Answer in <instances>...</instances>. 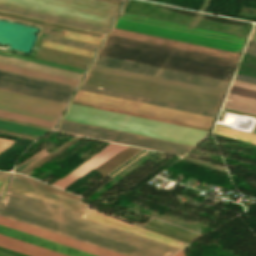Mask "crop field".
I'll return each mask as SVG.
<instances>
[{
  "label": "crop field",
  "instance_id": "obj_1",
  "mask_svg": "<svg viewBox=\"0 0 256 256\" xmlns=\"http://www.w3.org/2000/svg\"><path fill=\"white\" fill-rule=\"evenodd\" d=\"M0 215L128 256H170L179 249L8 190L0 203Z\"/></svg>",
  "mask_w": 256,
  "mask_h": 256
},
{
  "label": "crop field",
  "instance_id": "obj_2",
  "mask_svg": "<svg viewBox=\"0 0 256 256\" xmlns=\"http://www.w3.org/2000/svg\"><path fill=\"white\" fill-rule=\"evenodd\" d=\"M100 55L228 81L239 54L113 28Z\"/></svg>",
  "mask_w": 256,
  "mask_h": 256
},
{
  "label": "crop field",
  "instance_id": "obj_3",
  "mask_svg": "<svg viewBox=\"0 0 256 256\" xmlns=\"http://www.w3.org/2000/svg\"><path fill=\"white\" fill-rule=\"evenodd\" d=\"M74 86L0 70V89L67 104ZM0 90V109L57 122L65 105Z\"/></svg>",
  "mask_w": 256,
  "mask_h": 256
},
{
  "label": "crop field",
  "instance_id": "obj_4",
  "mask_svg": "<svg viewBox=\"0 0 256 256\" xmlns=\"http://www.w3.org/2000/svg\"><path fill=\"white\" fill-rule=\"evenodd\" d=\"M84 85L217 111L222 97L90 70Z\"/></svg>",
  "mask_w": 256,
  "mask_h": 256
},
{
  "label": "crop field",
  "instance_id": "obj_5",
  "mask_svg": "<svg viewBox=\"0 0 256 256\" xmlns=\"http://www.w3.org/2000/svg\"><path fill=\"white\" fill-rule=\"evenodd\" d=\"M116 28L240 52L246 38L121 13Z\"/></svg>",
  "mask_w": 256,
  "mask_h": 256
},
{
  "label": "crop field",
  "instance_id": "obj_6",
  "mask_svg": "<svg viewBox=\"0 0 256 256\" xmlns=\"http://www.w3.org/2000/svg\"><path fill=\"white\" fill-rule=\"evenodd\" d=\"M0 3L106 28L120 8L97 0H0Z\"/></svg>",
  "mask_w": 256,
  "mask_h": 256
},
{
  "label": "crop field",
  "instance_id": "obj_7",
  "mask_svg": "<svg viewBox=\"0 0 256 256\" xmlns=\"http://www.w3.org/2000/svg\"><path fill=\"white\" fill-rule=\"evenodd\" d=\"M74 101L207 128L210 127L214 119L212 117L95 94L81 90L78 91Z\"/></svg>",
  "mask_w": 256,
  "mask_h": 256
},
{
  "label": "crop field",
  "instance_id": "obj_8",
  "mask_svg": "<svg viewBox=\"0 0 256 256\" xmlns=\"http://www.w3.org/2000/svg\"><path fill=\"white\" fill-rule=\"evenodd\" d=\"M58 130L178 155H183L190 148L193 147L192 145L161 140L65 120L61 122Z\"/></svg>",
  "mask_w": 256,
  "mask_h": 256
},
{
  "label": "crop field",
  "instance_id": "obj_9",
  "mask_svg": "<svg viewBox=\"0 0 256 256\" xmlns=\"http://www.w3.org/2000/svg\"><path fill=\"white\" fill-rule=\"evenodd\" d=\"M94 64L115 68V69H120V70H126V71L156 76V77H161V78H166V79H171V80H176V81H181V82H186V83H192V84L222 89V90L225 89L228 83L226 81L121 61V60H116V59H111V58H106L101 56H98Z\"/></svg>",
  "mask_w": 256,
  "mask_h": 256
},
{
  "label": "crop field",
  "instance_id": "obj_10",
  "mask_svg": "<svg viewBox=\"0 0 256 256\" xmlns=\"http://www.w3.org/2000/svg\"><path fill=\"white\" fill-rule=\"evenodd\" d=\"M0 224L35 236H39L66 246H70L97 256H125L100 247H96L78 240H74L56 233H52L31 225H27L9 218L0 216Z\"/></svg>",
  "mask_w": 256,
  "mask_h": 256
},
{
  "label": "crop field",
  "instance_id": "obj_11",
  "mask_svg": "<svg viewBox=\"0 0 256 256\" xmlns=\"http://www.w3.org/2000/svg\"><path fill=\"white\" fill-rule=\"evenodd\" d=\"M124 147L126 146L109 143L104 149H102L96 155L79 165L77 168H75L62 178H60L53 185L60 187L64 190L67 189L69 186L74 184L76 181L92 171L94 168L114 156Z\"/></svg>",
  "mask_w": 256,
  "mask_h": 256
},
{
  "label": "crop field",
  "instance_id": "obj_12",
  "mask_svg": "<svg viewBox=\"0 0 256 256\" xmlns=\"http://www.w3.org/2000/svg\"><path fill=\"white\" fill-rule=\"evenodd\" d=\"M0 61L80 79L84 70L0 51Z\"/></svg>",
  "mask_w": 256,
  "mask_h": 256
},
{
  "label": "crop field",
  "instance_id": "obj_13",
  "mask_svg": "<svg viewBox=\"0 0 256 256\" xmlns=\"http://www.w3.org/2000/svg\"><path fill=\"white\" fill-rule=\"evenodd\" d=\"M223 107L256 115V85L234 80Z\"/></svg>",
  "mask_w": 256,
  "mask_h": 256
},
{
  "label": "crop field",
  "instance_id": "obj_14",
  "mask_svg": "<svg viewBox=\"0 0 256 256\" xmlns=\"http://www.w3.org/2000/svg\"><path fill=\"white\" fill-rule=\"evenodd\" d=\"M81 216L91 219V220H95V221L107 224V225H110V226H113V227H116V228L123 229V230L129 231V232L141 235V236H145V237H148V238H151V239H154V240L166 243V244H170V245H173V246H176L179 248L185 246L184 244H181L179 242L170 240V239L162 237L160 235H157V234L151 233L149 231L140 229L138 227L129 225L127 223H124L119 220L110 218L108 216L99 214V213L91 211L89 209H86Z\"/></svg>",
  "mask_w": 256,
  "mask_h": 256
},
{
  "label": "crop field",
  "instance_id": "obj_15",
  "mask_svg": "<svg viewBox=\"0 0 256 256\" xmlns=\"http://www.w3.org/2000/svg\"><path fill=\"white\" fill-rule=\"evenodd\" d=\"M91 69L113 73L117 75H122V76H127V77H132V78H137V79H142V80H147V81H152V82H157L161 84L201 91V92L220 95V96H222L224 92L222 90H217V89H212V88H207V87H202L197 85H191V84H186V83H181V82H176V81H171V80H166V79H161V78H156V77H151V76H146V75H141V74H136L131 72H125V71H120V70H115V69H110V68H105V67H100L95 65H93Z\"/></svg>",
  "mask_w": 256,
  "mask_h": 256
},
{
  "label": "crop field",
  "instance_id": "obj_16",
  "mask_svg": "<svg viewBox=\"0 0 256 256\" xmlns=\"http://www.w3.org/2000/svg\"><path fill=\"white\" fill-rule=\"evenodd\" d=\"M0 10L105 34L107 29L0 4Z\"/></svg>",
  "mask_w": 256,
  "mask_h": 256
},
{
  "label": "crop field",
  "instance_id": "obj_17",
  "mask_svg": "<svg viewBox=\"0 0 256 256\" xmlns=\"http://www.w3.org/2000/svg\"><path fill=\"white\" fill-rule=\"evenodd\" d=\"M80 89H81V90H86V91H91V92H96V93H100V94H105V95H110V96H115V97L130 99V100H134V101H139V102H144V103H149V104L164 106V107H168V108H173V109H178V110H183V111L198 113V114L207 115V116H212V117H214L215 114H216V113H214V112H209V111H204V110H200V109H195V108L180 106V105H176V104H171V103H166V102L151 100V99H147V98H142V97L127 95V94H122V93H118V92H113V91L98 89V88L89 87V86H84V85H81Z\"/></svg>",
  "mask_w": 256,
  "mask_h": 256
},
{
  "label": "crop field",
  "instance_id": "obj_18",
  "mask_svg": "<svg viewBox=\"0 0 256 256\" xmlns=\"http://www.w3.org/2000/svg\"><path fill=\"white\" fill-rule=\"evenodd\" d=\"M0 246L31 256H66L1 234Z\"/></svg>",
  "mask_w": 256,
  "mask_h": 256
},
{
  "label": "crop field",
  "instance_id": "obj_19",
  "mask_svg": "<svg viewBox=\"0 0 256 256\" xmlns=\"http://www.w3.org/2000/svg\"><path fill=\"white\" fill-rule=\"evenodd\" d=\"M141 225L180 238L188 242H191V240L201 235L153 217H151L149 221Z\"/></svg>",
  "mask_w": 256,
  "mask_h": 256
},
{
  "label": "crop field",
  "instance_id": "obj_20",
  "mask_svg": "<svg viewBox=\"0 0 256 256\" xmlns=\"http://www.w3.org/2000/svg\"><path fill=\"white\" fill-rule=\"evenodd\" d=\"M0 69L77 86L79 80L0 62Z\"/></svg>",
  "mask_w": 256,
  "mask_h": 256
},
{
  "label": "crop field",
  "instance_id": "obj_21",
  "mask_svg": "<svg viewBox=\"0 0 256 256\" xmlns=\"http://www.w3.org/2000/svg\"><path fill=\"white\" fill-rule=\"evenodd\" d=\"M0 128L27 134V135H32V136H36V137H39L48 132V130L34 128V127L25 126V125L16 124V123L7 122V121H2V120H0Z\"/></svg>",
  "mask_w": 256,
  "mask_h": 256
},
{
  "label": "crop field",
  "instance_id": "obj_22",
  "mask_svg": "<svg viewBox=\"0 0 256 256\" xmlns=\"http://www.w3.org/2000/svg\"><path fill=\"white\" fill-rule=\"evenodd\" d=\"M213 133L256 144V135L254 134H250V133H246V132H242V131H238V130H234V129H230V128H226L218 125L215 126Z\"/></svg>",
  "mask_w": 256,
  "mask_h": 256
},
{
  "label": "crop field",
  "instance_id": "obj_23",
  "mask_svg": "<svg viewBox=\"0 0 256 256\" xmlns=\"http://www.w3.org/2000/svg\"><path fill=\"white\" fill-rule=\"evenodd\" d=\"M10 184L14 185V186H17V187L27 189V190H30V191H33V192H36V193H40V194L52 197V198H55V199H59V200H62V201H65V202H68V203H71V204H74V205H78V206H81V207H84V208H86V206H87V205H85L83 203H80L78 201H75V200H72V199H69V198H66V197H63V196H59V195H56V194H53V193H50V192L32 187V186H29V185H25V184H22V183L13 181V180L11 181Z\"/></svg>",
  "mask_w": 256,
  "mask_h": 256
},
{
  "label": "crop field",
  "instance_id": "obj_24",
  "mask_svg": "<svg viewBox=\"0 0 256 256\" xmlns=\"http://www.w3.org/2000/svg\"><path fill=\"white\" fill-rule=\"evenodd\" d=\"M0 116L10 118V119L19 120V121H24V122H28V123H32V124H37V125H41V126H46V127H50V128H53V126L55 125L54 122L45 121V120L32 118V117H28V116H23V115H19V114H14V113L1 111V110H0Z\"/></svg>",
  "mask_w": 256,
  "mask_h": 256
},
{
  "label": "crop field",
  "instance_id": "obj_25",
  "mask_svg": "<svg viewBox=\"0 0 256 256\" xmlns=\"http://www.w3.org/2000/svg\"><path fill=\"white\" fill-rule=\"evenodd\" d=\"M45 40L51 41V42H56V43H61V44H65V45L75 46V47H79V48L89 49V50H93V51H95L97 48L96 45L79 42V41H75V40H71V39H67V38H62V37H58V36H54V35H50V34L47 35Z\"/></svg>",
  "mask_w": 256,
  "mask_h": 256
},
{
  "label": "crop field",
  "instance_id": "obj_26",
  "mask_svg": "<svg viewBox=\"0 0 256 256\" xmlns=\"http://www.w3.org/2000/svg\"><path fill=\"white\" fill-rule=\"evenodd\" d=\"M241 62L256 66V57L244 54ZM236 73L256 78L254 67L240 64Z\"/></svg>",
  "mask_w": 256,
  "mask_h": 256
},
{
  "label": "crop field",
  "instance_id": "obj_27",
  "mask_svg": "<svg viewBox=\"0 0 256 256\" xmlns=\"http://www.w3.org/2000/svg\"><path fill=\"white\" fill-rule=\"evenodd\" d=\"M43 46L48 47V48L62 50V51L72 52V53H76V54L86 55V56H90V57H92L94 54L93 51L79 49V48L70 47V46H65V45L56 44V43H51V42H47V41L44 42Z\"/></svg>",
  "mask_w": 256,
  "mask_h": 256
},
{
  "label": "crop field",
  "instance_id": "obj_28",
  "mask_svg": "<svg viewBox=\"0 0 256 256\" xmlns=\"http://www.w3.org/2000/svg\"><path fill=\"white\" fill-rule=\"evenodd\" d=\"M149 150L142 149L137 154H135L133 157H131L129 160H127L124 164H122L120 167H118L116 170H114L109 175L113 178L116 177L118 174H120L122 171H124L126 168H128L130 165L135 163L137 160H139L141 157H143L145 154H147Z\"/></svg>",
  "mask_w": 256,
  "mask_h": 256
},
{
  "label": "crop field",
  "instance_id": "obj_29",
  "mask_svg": "<svg viewBox=\"0 0 256 256\" xmlns=\"http://www.w3.org/2000/svg\"><path fill=\"white\" fill-rule=\"evenodd\" d=\"M46 151V150H45ZM43 149L40 150L39 152H37L36 154H34L33 156H31L29 159H27L26 161H24L23 163L19 164L14 171L15 172H22L23 170H25L26 168H28L29 166H31L32 164H34L35 162H37L38 160H40L41 158H43L44 156H46L48 153L45 152Z\"/></svg>",
  "mask_w": 256,
  "mask_h": 256
},
{
  "label": "crop field",
  "instance_id": "obj_30",
  "mask_svg": "<svg viewBox=\"0 0 256 256\" xmlns=\"http://www.w3.org/2000/svg\"><path fill=\"white\" fill-rule=\"evenodd\" d=\"M62 36L67 37V38H71V39H75V40H80V41L96 44V45H99V43L101 41L100 38H95V37H91V36L76 34V33L67 32V31H64Z\"/></svg>",
  "mask_w": 256,
  "mask_h": 256
},
{
  "label": "crop field",
  "instance_id": "obj_31",
  "mask_svg": "<svg viewBox=\"0 0 256 256\" xmlns=\"http://www.w3.org/2000/svg\"><path fill=\"white\" fill-rule=\"evenodd\" d=\"M15 142L0 138V155H2Z\"/></svg>",
  "mask_w": 256,
  "mask_h": 256
},
{
  "label": "crop field",
  "instance_id": "obj_32",
  "mask_svg": "<svg viewBox=\"0 0 256 256\" xmlns=\"http://www.w3.org/2000/svg\"><path fill=\"white\" fill-rule=\"evenodd\" d=\"M0 256H28V255H24V254L0 247Z\"/></svg>",
  "mask_w": 256,
  "mask_h": 256
},
{
  "label": "crop field",
  "instance_id": "obj_33",
  "mask_svg": "<svg viewBox=\"0 0 256 256\" xmlns=\"http://www.w3.org/2000/svg\"><path fill=\"white\" fill-rule=\"evenodd\" d=\"M244 53L256 56V42L250 41Z\"/></svg>",
  "mask_w": 256,
  "mask_h": 256
},
{
  "label": "crop field",
  "instance_id": "obj_34",
  "mask_svg": "<svg viewBox=\"0 0 256 256\" xmlns=\"http://www.w3.org/2000/svg\"><path fill=\"white\" fill-rule=\"evenodd\" d=\"M234 79L244 81V82H248V83H252V84H256V79L246 77V76H242V75H238V74L235 75Z\"/></svg>",
  "mask_w": 256,
  "mask_h": 256
},
{
  "label": "crop field",
  "instance_id": "obj_35",
  "mask_svg": "<svg viewBox=\"0 0 256 256\" xmlns=\"http://www.w3.org/2000/svg\"><path fill=\"white\" fill-rule=\"evenodd\" d=\"M10 173L0 172V179L7 180Z\"/></svg>",
  "mask_w": 256,
  "mask_h": 256
},
{
  "label": "crop field",
  "instance_id": "obj_36",
  "mask_svg": "<svg viewBox=\"0 0 256 256\" xmlns=\"http://www.w3.org/2000/svg\"><path fill=\"white\" fill-rule=\"evenodd\" d=\"M101 1H106V2L115 3V4H119V5L122 4L121 1H117V0H101Z\"/></svg>",
  "mask_w": 256,
  "mask_h": 256
},
{
  "label": "crop field",
  "instance_id": "obj_37",
  "mask_svg": "<svg viewBox=\"0 0 256 256\" xmlns=\"http://www.w3.org/2000/svg\"><path fill=\"white\" fill-rule=\"evenodd\" d=\"M252 41H256V27L254 28V31H253V34L251 36V39Z\"/></svg>",
  "mask_w": 256,
  "mask_h": 256
},
{
  "label": "crop field",
  "instance_id": "obj_38",
  "mask_svg": "<svg viewBox=\"0 0 256 256\" xmlns=\"http://www.w3.org/2000/svg\"><path fill=\"white\" fill-rule=\"evenodd\" d=\"M174 256H184V253H183V251L181 250V251H179L177 254H175Z\"/></svg>",
  "mask_w": 256,
  "mask_h": 256
},
{
  "label": "crop field",
  "instance_id": "obj_39",
  "mask_svg": "<svg viewBox=\"0 0 256 256\" xmlns=\"http://www.w3.org/2000/svg\"><path fill=\"white\" fill-rule=\"evenodd\" d=\"M4 183H5V181L0 180V191H1V189H2V187H3V185H4Z\"/></svg>",
  "mask_w": 256,
  "mask_h": 256
},
{
  "label": "crop field",
  "instance_id": "obj_40",
  "mask_svg": "<svg viewBox=\"0 0 256 256\" xmlns=\"http://www.w3.org/2000/svg\"><path fill=\"white\" fill-rule=\"evenodd\" d=\"M121 1H123V0H121Z\"/></svg>",
  "mask_w": 256,
  "mask_h": 256
}]
</instances>
